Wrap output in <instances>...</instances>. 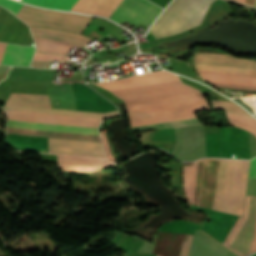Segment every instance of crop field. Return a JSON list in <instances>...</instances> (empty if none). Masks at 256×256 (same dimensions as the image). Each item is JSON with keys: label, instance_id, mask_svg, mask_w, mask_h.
Returning <instances> with one entry per match:
<instances>
[{"label": "crop field", "instance_id": "1", "mask_svg": "<svg viewBox=\"0 0 256 256\" xmlns=\"http://www.w3.org/2000/svg\"><path fill=\"white\" fill-rule=\"evenodd\" d=\"M214 0H174L152 26L156 39L199 26Z\"/></svg>", "mask_w": 256, "mask_h": 256}, {"label": "crop field", "instance_id": "2", "mask_svg": "<svg viewBox=\"0 0 256 256\" xmlns=\"http://www.w3.org/2000/svg\"><path fill=\"white\" fill-rule=\"evenodd\" d=\"M219 159H202L195 166H183V187L187 203L212 209Z\"/></svg>", "mask_w": 256, "mask_h": 256}, {"label": "crop field", "instance_id": "3", "mask_svg": "<svg viewBox=\"0 0 256 256\" xmlns=\"http://www.w3.org/2000/svg\"><path fill=\"white\" fill-rule=\"evenodd\" d=\"M130 121L209 110L201 94L126 105Z\"/></svg>", "mask_w": 256, "mask_h": 256}, {"label": "crop field", "instance_id": "4", "mask_svg": "<svg viewBox=\"0 0 256 256\" xmlns=\"http://www.w3.org/2000/svg\"><path fill=\"white\" fill-rule=\"evenodd\" d=\"M110 92L124 99L126 104L199 93V91L182 84L180 80L112 90Z\"/></svg>", "mask_w": 256, "mask_h": 256}, {"label": "crop field", "instance_id": "5", "mask_svg": "<svg viewBox=\"0 0 256 256\" xmlns=\"http://www.w3.org/2000/svg\"><path fill=\"white\" fill-rule=\"evenodd\" d=\"M18 14L24 15V16L40 18V19L56 21V22L72 24V25H78V26H83V27H85L86 24L88 23V21L91 19L90 16L42 10V9H38V8L28 6L25 4H23V6L19 10ZM19 15H16V16L19 17L21 20H23L28 25L49 27V28L74 32V33H78V34H80L82 32V30L84 29L83 27L72 26V25H67V24H62V23H56V22H51V21H46V20H40V19H35V18H30V17L19 16Z\"/></svg>", "mask_w": 256, "mask_h": 256}, {"label": "crop field", "instance_id": "6", "mask_svg": "<svg viewBox=\"0 0 256 256\" xmlns=\"http://www.w3.org/2000/svg\"><path fill=\"white\" fill-rule=\"evenodd\" d=\"M194 58L196 69L256 75V60L210 51H195Z\"/></svg>", "mask_w": 256, "mask_h": 256}, {"label": "crop field", "instance_id": "7", "mask_svg": "<svg viewBox=\"0 0 256 256\" xmlns=\"http://www.w3.org/2000/svg\"><path fill=\"white\" fill-rule=\"evenodd\" d=\"M255 198L247 196L244 218L239 217L223 243L241 256L247 255L248 251ZM254 251H256V202L248 254Z\"/></svg>", "mask_w": 256, "mask_h": 256}, {"label": "crop field", "instance_id": "8", "mask_svg": "<svg viewBox=\"0 0 256 256\" xmlns=\"http://www.w3.org/2000/svg\"><path fill=\"white\" fill-rule=\"evenodd\" d=\"M161 10L147 0H124L110 19L120 24L126 20L136 26L140 23L149 26Z\"/></svg>", "mask_w": 256, "mask_h": 256}, {"label": "crop field", "instance_id": "9", "mask_svg": "<svg viewBox=\"0 0 256 256\" xmlns=\"http://www.w3.org/2000/svg\"><path fill=\"white\" fill-rule=\"evenodd\" d=\"M250 161L234 160L230 185L228 213L242 216Z\"/></svg>", "mask_w": 256, "mask_h": 256}, {"label": "crop field", "instance_id": "10", "mask_svg": "<svg viewBox=\"0 0 256 256\" xmlns=\"http://www.w3.org/2000/svg\"><path fill=\"white\" fill-rule=\"evenodd\" d=\"M7 113H8V119H14V120L62 123V124L93 126V127H98L103 120L99 118H88V117H77V116H66V115H55V114H44V113H33V112L11 111V110H7Z\"/></svg>", "mask_w": 256, "mask_h": 256}, {"label": "crop field", "instance_id": "11", "mask_svg": "<svg viewBox=\"0 0 256 256\" xmlns=\"http://www.w3.org/2000/svg\"><path fill=\"white\" fill-rule=\"evenodd\" d=\"M197 71L213 87L256 90V76L254 75Z\"/></svg>", "mask_w": 256, "mask_h": 256}, {"label": "crop field", "instance_id": "12", "mask_svg": "<svg viewBox=\"0 0 256 256\" xmlns=\"http://www.w3.org/2000/svg\"><path fill=\"white\" fill-rule=\"evenodd\" d=\"M54 153L103 157L102 144L96 142H85L75 140L49 139ZM49 141V153H53Z\"/></svg>", "mask_w": 256, "mask_h": 256}, {"label": "crop field", "instance_id": "13", "mask_svg": "<svg viewBox=\"0 0 256 256\" xmlns=\"http://www.w3.org/2000/svg\"><path fill=\"white\" fill-rule=\"evenodd\" d=\"M233 160L220 159L213 209L226 212Z\"/></svg>", "mask_w": 256, "mask_h": 256}, {"label": "crop field", "instance_id": "14", "mask_svg": "<svg viewBox=\"0 0 256 256\" xmlns=\"http://www.w3.org/2000/svg\"><path fill=\"white\" fill-rule=\"evenodd\" d=\"M8 127L99 135L97 128L72 126V125H61V124H49V123H37V122L8 120Z\"/></svg>", "mask_w": 256, "mask_h": 256}, {"label": "crop field", "instance_id": "15", "mask_svg": "<svg viewBox=\"0 0 256 256\" xmlns=\"http://www.w3.org/2000/svg\"><path fill=\"white\" fill-rule=\"evenodd\" d=\"M176 79H178L177 75L167 71H161V72L149 73V74H144L139 76H133V77L126 78L124 80L107 82V83H102L98 85L108 90H111V89L130 87V86L155 83V82H162V81H169V80H176Z\"/></svg>", "mask_w": 256, "mask_h": 256}, {"label": "crop field", "instance_id": "16", "mask_svg": "<svg viewBox=\"0 0 256 256\" xmlns=\"http://www.w3.org/2000/svg\"><path fill=\"white\" fill-rule=\"evenodd\" d=\"M122 1L123 0H78L71 10L109 18Z\"/></svg>", "mask_w": 256, "mask_h": 256}, {"label": "crop field", "instance_id": "17", "mask_svg": "<svg viewBox=\"0 0 256 256\" xmlns=\"http://www.w3.org/2000/svg\"><path fill=\"white\" fill-rule=\"evenodd\" d=\"M34 37L51 39L59 42L73 43L80 46H85L90 40L82 35L71 34L58 30L44 29L29 26Z\"/></svg>", "mask_w": 256, "mask_h": 256}, {"label": "crop field", "instance_id": "18", "mask_svg": "<svg viewBox=\"0 0 256 256\" xmlns=\"http://www.w3.org/2000/svg\"><path fill=\"white\" fill-rule=\"evenodd\" d=\"M34 49L35 48L8 44L1 63L29 66Z\"/></svg>", "mask_w": 256, "mask_h": 256}, {"label": "crop field", "instance_id": "19", "mask_svg": "<svg viewBox=\"0 0 256 256\" xmlns=\"http://www.w3.org/2000/svg\"><path fill=\"white\" fill-rule=\"evenodd\" d=\"M7 134L101 142L99 136H93V135L68 134V133H57V132H46V131H35V130L13 129V128H8Z\"/></svg>", "mask_w": 256, "mask_h": 256}, {"label": "crop field", "instance_id": "20", "mask_svg": "<svg viewBox=\"0 0 256 256\" xmlns=\"http://www.w3.org/2000/svg\"><path fill=\"white\" fill-rule=\"evenodd\" d=\"M5 109L44 112V113H55V114H66V115H77V116H88V117H99V118H107V117L118 115L117 111L98 113V112L46 109V108H34V107L11 106V105H6Z\"/></svg>", "mask_w": 256, "mask_h": 256}, {"label": "crop field", "instance_id": "21", "mask_svg": "<svg viewBox=\"0 0 256 256\" xmlns=\"http://www.w3.org/2000/svg\"><path fill=\"white\" fill-rule=\"evenodd\" d=\"M7 104L51 108L48 95L12 93Z\"/></svg>", "mask_w": 256, "mask_h": 256}, {"label": "crop field", "instance_id": "22", "mask_svg": "<svg viewBox=\"0 0 256 256\" xmlns=\"http://www.w3.org/2000/svg\"><path fill=\"white\" fill-rule=\"evenodd\" d=\"M34 39L37 45L36 51L68 54L72 46L81 48L80 46L73 45V44H64V43H59V42L45 40V39H37V38H34Z\"/></svg>", "mask_w": 256, "mask_h": 256}, {"label": "crop field", "instance_id": "23", "mask_svg": "<svg viewBox=\"0 0 256 256\" xmlns=\"http://www.w3.org/2000/svg\"><path fill=\"white\" fill-rule=\"evenodd\" d=\"M58 159H59V162H62V163L76 164V165H82V166L106 167V166L112 165V163L106 160L84 158V157L58 155Z\"/></svg>", "mask_w": 256, "mask_h": 256}, {"label": "crop field", "instance_id": "24", "mask_svg": "<svg viewBox=\"0 0 256 256\" xmlns=\"http://www.w3.org/2000/svg\"><path fill=\"white\" fill-rule=\"evenodd\" d=\"M230 123L243 128L256 136V120L227 112Z\"/></svg>", "mask_w": 256, "mask_h": 256}, {"label": "crop field", "instance_id": "25", "mask_svg": "<svg viewBox=\"0 0 256 256\" xmlns=\"http://www.w3.org/2000/svg\"><path fill=\"white\" fill-rule=\"evenodd\" d=\"M21 1L29 2L32 4L49 7V8L70 10L77 0H21Z\"/></svg>", "mask_w": 256, "mask_h": 256}, {"label": "crop field", "instance_id": "26", "mask_svg": "<svg viewBox=\"0 0 256 256\" xmlns=\"http://www.w3.org/2000/svg\"><path fill=\"white\" fill-rule=\"evenodd\" d=\"M193 117H196L194 113L166 116V117H158V118H152V119H146V120L133 121V122H130V125H131V127H134V126L167 122V121L180 120V119L193 118Z\"/></svg>", "mask_w": 256, "mask_h": 256}, {"label": "crop field", "instance_id": "27", "mask_svg": "<svg viewBox=\"0 0 256 256\" xmlns=\"http://www.w3.org/2000/svg\"><path fill=\"white\" fill-rule=\"evenodd\" d=\"M197 123H199L197 118H193V119H187V120H180V121H173V122L160 123V124H154V125L134 127V128H131V130H132V132H135V131L146 130V129L179 127V126H185V125H191V124H197Z\"/></svg>", "mask_w": 256, "mask_h": 256}, {"label": "crop field", "instance_id": "28", "mask_svg": "<svg viewBox=\"0 0 256 256\" xmlns=\"http://www.w3.org/2000/svg\"><path fill=\"white\" fill-rule=\"evenodd\" d=\"M212 104H213V108H219L226 111H232V112L241 113L247 116H251L243 108H241L239 105H237L234 102L212 100Z\"/></svg>", "mask_w": 256, "mask_h": 256}, {"label": "crop field", "instance_id": "29", "mask_svg": "<svg viewBox=\"0 0 256 256\" xmlns=\"http://www.w3.org/2000/svg\"><path fill=\"white\" fill-rule=\"evenodd\" d=\"M0 5L7 8L9 11L16 15L18 10L22 6V3L15 2L12 0H0Z\"/></svg>", "mask_w": 256, "mask_h": 256}, {"label": "crop field", "instance_id": "30", "mask_svg": "<svg viewBox=\"0 0 256 256\" xmlns=\"http://www.w3.org/2000/svg\"><path fill=\"white\" fill-rule=\"evenodd\" d=\"M33 60L66 61V58H65L64 56H59V55H51V54L36 53Z\"/></svg>", "mask_w": 256, "mask_h": 256}, {"label": "crop field", "instance_id": "31", "mask_svg": "<svg viewBox=\"0 0 256 256\" xmlns=\"http://www.w3.org/2000/svg\"><path fill=\"white\" fill-rule=\"evenodd\" d=\"M63 170H71V171H83V172H93L100 168H94V167H81V166H75V165H66V164H60Z\"/></svg>", "mask_w": 256, "mask_h": 256}, {"label": "crop field", "instance_id": "32", "mask_svg": "<svg viewBox=\"0 0 256 256\" xmlns=\"http://www.w3.org/2000/svg\"><path fill=\"white\" fill-rule=\"evenodd\" d=\"M193 236L186 235L180 256H187ZM158 256V255H157Z\"/></svg>", "mask_w": 256, "mask_h": 256}, {"label": "crop field", "instance_id": "33", "mask_svg": "<svg viewBox=\"0 0 256 256\" xmlns=\"http://www.w3.org/2000/svg\"><path fill=\"white\" fill-rule=\"evenodd\" d=\"M249 178H256V158L251 160Z\"/></svg>", "mask_w": 256, "mask_h": 256}, {"label": "crop field", "instance_id": "34", "mask_svg": "<svg viewBox=\"0 0 256 256\" xmlns=\"http://www.w3.org/2000/svg\"><path fill=\"white\" fill-rule=\"evenodd\" d=\"M6 45L7 44H5V43H0V62H1V59H2V56H3V53L5 51Z\"/></svg>", "mask_w": 256, "mask_h": 256}, {"label": "crop field", "instance_id": "35", "mask_svg": "<svg viewBox=\"0 0 256 256\" xmlns=\"http://www.w3.org/2000/svg\"><path fill=\"white\" fill-rule=\"evenodd\" d=\"M237 1L243 3L244 0H237ZM244 3H245V4H248V5H251V6H254L255 0H245Z\"/></svg>", "mask_w": 256, "mask_h": 256}, {"label": "crop field", "instance_id": "36", "mask_svg": "<svg viewBox=\"0 0 256 256\" xmlns=\"http://www.w3.org/2000/svg\"><path fill=\"white\" fill-rule=\"evenodd\" d=\"M7 68H8V66L0 65V73L3 72Z\"/></svg>", "mask_w": 256, "mask_h": 256}, {"label": "crop field", "instance_id": "37", "mask_svg": "<svg viewBox=\"0 0 256 256\" xmlns=\"http://www.w3.org/2000/svg\"><path fill=\"white\" fill-rule=\"evenodd\" d=\"M255 6H256V4H255Z\"/></svg>", "mask_w": 256, "mask_h": 256}]
</instances>
